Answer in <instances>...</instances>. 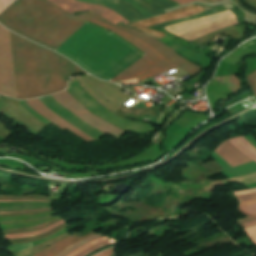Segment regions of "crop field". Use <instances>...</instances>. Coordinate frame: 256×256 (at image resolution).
I'll list each match as a JSON object with an SVG mask.
<instances>
[{
    "mask_svg": "<svg viewBox=\"0 0 256 256\" xmlns=\"http://www.w3.org/2000/svg\"><path fill=\"white\" fill-rule=\"evenodd\" d=\"M17 99L64 90L67 79L86 73L66 58L10 32Z\"/></svg>",
    "mask_w": 256,
    "mask_h": 256,
    "instance_id": "1",
    "label": "crop field"
},
{
    "mask_svg": "<svg viewBox=\"0 0 256 256\" xmlns=\"http://www.w3.org/2000/svg\"><path fill=\"white\" fill-rule=\"evenodd\" d=\"M89 24L104 30L106 33H109L104 28L98 27L92 23ZM97 28H94L85 23L57 49L70 55L82 65H84L86 68L100 75L133 48L100 76L90 72L88 69H86L84 66H82L70 56L56 49L55 50L60 52L64 56L72 59L75 63L86 69L89 73L108 81L123 73L125 70H127L129 67H131L133 64H135L145 56L123 38L113 33H110L111 35L119 38L132 48L127 46L119 39L109 34H106L102 30Z\"/></svg>",
    "mask_w": 256,
    "mask_h": 256,
    "instance_id": "2",
    "label": "crop field"
},
{
    "mask_svg": "<svg viewBox=\"0 0 256 256\" xmlns=\"http://www.w3.org/2000/svg\"><path fill=\"white\" fill-rule=\"evenodd\" d=\"M84 22L68 17L47 0H16L0 13V23L6 28L52 50Z\"/></svg>",
    "mask_w": 256,
    "mask_h": 256,
    "instance_id": "3",
    "label": "crop field"
},
{
    "mask_svg": "<svg viewBox=\"0 0 256 256\" xmlns=\"http://www.w3.org/2000/svg\"><path fill=\"white\" fill-rule=\"evenodd\" d=\"M77 1L106 6L129 22L164 13L162 10L178 5L171 0H113L112 3L100 0Z\"/></svg>",
    "mask_w": 256,
    "mask_h": 256,
    "instance_id": "4",
    "label": "crop field"
},
{
    "mask_svg": "<svg viewBox=\"0 0 256 256\" xmlns=\"http://www.w3.org/2000/svg\"><path fill=\"white\" fill-rule=\"evenodd\" d=\"M236 24L238 22L235 15L230 10H227L219 14L174 24L164 29L191 41L199 36Z\"/></svg>",
    "mask_w": 256,
    "mask_h": 256,
    "instance_id": "5",
    "label": "crop field"
},
{
    "mask_svg": "<svg viewBox=\"0 0 256 256\" xmlns=\"http://www.w3.org/2000/svg\"><path fill=\"white\" fill-rule=\"evenodd\" d=\"M92 18H95L101 22H104L114 28H117L125 33H128L130 35H133L139 39H141L142 41H144L145 43L153 46L157 51H159L165 58L169 59L171 62H173L175 65H177L178 67L184 69L185 71L191 73L192 75L199 72L202 68L194 65L193 63L187 61L186 59H184L183 57H181L180 55H178L175 51H173L171 48H169L167 45L163 44L162 42L158 41L157 39H155L154 37H152L151 35L142 32L140 30L134 29V28H130L126 25H123L121 23H118L116 25H113L109 22H107L106 20H104L103 18H101L100 16L92 13V12H87L84 13ZM190 74V75H191Z\"/></svg>",
    "mask_w": 256,
    "mask_h": 256,
    "instance_id": "6",
    "label": "crop field"
},
{
    "mask_svg": "<svg viewBox=\"0 0 256 256\" xmlns=\"http://www.w3.org/2000/svg\"><path fill=\"white\" fill-rule=\"evenodd\" d=\"M52 97L65 108L85 121L87 124L107 135L118 139L126 133L111 125L110 123L102 120L101 118L92 115L84 106L74 100L66 91L54 94Z\"/></svg>",
    "mask_w": 256,
    "mask_h": 256,
    "instance_id": "7",
    "label": "crop field"
},
{
    "mask_svg": "<svg viewBox=\"0 0 256 256\" xmlns=\"http://www.w3.org/2000/svg\"><path fill=\"white\" fill-rule=\"evenodd\" d=\"M203 11L204 10L202 7H200L196 4H193L191 6L180 8V9L165 13L160 16L152 17L148 20L130 23L131 25H129V26L143 30V31L153 35L155 38L161 39V38H164L166 36V34L160 33V32L154 31V30H150L145 27L153 26L155 24L167 22V21L173 20V19H179V18L191 16V15L203 12Z\"/></svg>",
    "mask_w": 256,
    "mask_h": 256,
    "instance_id": "8",
    "label": "crop field"
},
{
    "mask_svg": "<svg viewBox=\"0 0 256 256\" xmlns=\"http://www.w3.org/2000/svg\"><path fill=\"white\" fill-rule=\"evenodd\" d=\"M74 15V14H72ZM76 16V15H75ZM78 17H81L85 20H88L98 26L105 27L109 30H111L113 33L123 37L125 40H127L129 43L134 45L136 48H138L140 51H142L144 54H146L151 60L155 61L157 64H159L165 71L177 68L173 63H171L169 60L165 59L160 53H158L153 47L145 44L141 40L132 37L128 34H125L117 29H114L110 26H107L95 19L89 18L87 16H84L82 14L78 15Z\"/></svg>",
    "mask_w": 256,
    "mask_h": 256,
    "instance_id": "9",
    "label": "crop field"
},
{
    "mask_svg": "<svg viewBox=\"0 0 256 256\" xmlns=\"http://www.w3.org/2000/svg\"><path fill=\"white\" fill-rule=\"evenodd\" d=\"M52 3L62 7L70 14L73 12H84L86 10L92 11L104 19L116 24L118 22L124 23L128 25L129 22H127L125 19H123L121 16H119L117 13L111 11L110 9L106 7L101 6H94V5H87L80 2H76L73 0H49Z\"/></svg>",
    "mask_w": 256,
    "mask_h": 256,
    "instance_id": "10",
    "label": "crop field"
},
{
    "mask_svg": "<svg viewBox=\"0 0 256 256\" xmlns=\"http://www.w3.org/2000/svg\"><path fill=\"white\" fill-rule=\"evenodd\" d=\"M27 104L33 108L34 110H36L40 115H42L43 117H45L46 119H48L49 121L53 122L54 124H56L59 128H61L62 130L64 129H68L70 130L72 133H74L76 136L82 138L83 140L87 141V142H91L94 141L93 139H91L90 137H88L87 135H85L84 133H82L81 131H79L78 129H76L74 126H72L71 124H69L68 122H66L65 120H63L61 117H59L57 114L53 113L52 111H50L46 106H44L38 99L35 100H26Z\"/></svg>",
    "mask_w": 256,
    "mask_h": 256,
    "instance_id": "11",
    "label": "crop field"
},
{
    "mask_svg": "<svg viewBox=\"0 0 256 256\" xmlns=\"http://www.w3.org/2000/svg\"><path fill=\"white\" fill-rule=\"evenodd\" d=\"M147 72L148 74L141 76ZM161 72H164V70L146 56L138 63L133 65L131 68H129L127 71H125L123 74L113 79L112 82L141 76L139 78H136L138 81H140Z\"/></svg>",
    "mask_w": 256,
    "mask_h": 256,
    "instance_id": "12",
    "label": "crop field"
},
{
    "mask_svg": "<svg viewBox=\"0 0 256 256\" xmlns=\"http://www.w3.org/2000/svg\"><path fill=\"white\" fill-rule=\"evenodd\" d=\"M214 152L225 160L231 167L252 161L250 158L236 150L228 140L222 142Z\"/></svg>",
    "mask_w": 256,
    "mask_h": 256,
    "instance_id": "13",
    "label": "crop field"
},
{
    "mask_svg": "<svg viewBox=\"0 0 256 256\" xmlns=\"http://www.w3.org/2000/svg\"><path fill=\"white\" fill-rule=\"evenodd\" d=\"M91 235H95L94 232L92 233H89L87 235H84L80 238L72 235L50 247H48L47 249L33 255V256H55L56 254H58L59 252L63 251L64 249H66L67 247L71 246L72 244L88 237V236H91Z\"/></svg>",
    "mask_w": 256,
    "mask_h": 256,
    "instance_id": "14",
    "label": "crop field"
},
{
    "mask_svg": "<svg viewBox=\"0 0 256 256\" xmlns=\"http://www.w3.org/2000/svg\"><path fill=\"white\" fill-rule=\"evenodd\" d=\"M229 141L235 148L256 161V149L251 146L243 137L229 139Z\"/></svg>",
    "mask_w": 256,
    "mask_h": 256,
    "instance_id": "15",
    "label": "crop field"
},
{
    "mask_svg": "<svg viewBox=\"0 0 256 256\" xmlns=\"http://www.w3.org/2000/svg\"><path fill=\"white\" fill-rule=\"evenodd\" d=\"M215 79L233 93H236L242 89L239 79H237L234 75L217 77Z\"/></svg>",
    "mask_w": 256,
    "mask_h": 256,
    "instance_id": "16",
    "label": "crop field"
},
{
    "mask_svg": "<svg viewBox=\"0 0 256 256\" xmlns=\"http://www.w3.org/2000/svg\"><path fill=\"white\" fill-rule=\"evenodd\" d=\"M65 223V221L61 220L59 222H56L44 229H41V230H38L36 232H32V233H24V234H16V235H9V236H5V239H13V238H23V237H31V236H34V235H38V234H41V233H44L50 229H53L61 224Z\"/></svg>",
    "mask_w": 256,
    "mask_h": 256,
    "instance_id": "17",
    "label": "crop field"
},
{
    "mask_svg": "<svg viewBox=\"0 0 256 256\" xmlns=\"http://www.w3.org/2000/svg\"><path fill=\"white\" fill-rule=\"evenodd\" d=\"M216 12H217V10H216V8H214L212 10L207 11V14L209 15V14H213V13H216ZM202 16H206V13L204 12V13L197 14V15H194V16H191V17H188V18L179 19V20L167 22V23H164V24H160V25H157V26H154V27L162 28V27H165V26L177 23V22H181V21H185V20H191V19L202 17Z\"/></svg>",
    "mask_w": 256,
    "mask_h": 256,
    "instance_id": "18",
    "label": "crop field"
},
{
    "mask_svg": "<svg viewBox=\"0 0 256 256\" xmlns=\"http://www.w3.org/2000/svg\"><path fill=\"white\" fill-rule=\"evenodd\" d=\"M99 237H102V235H101V234H97V235H95V236L88 237V238H86V239H84V240H82V241H80V242H78V243L72 245L71 247L67 248L66 250H64L63 252H61L60 254H58L57 256H66V255H67L68 253H70L73 249H75V248H77V247H79V246H81V245H83V244H85V243H87V242H89V241H91V240H93V239L99 238Z\"/></svg>",
    "mask_w": 256,
    "mask_h": 256,
    "instance_id": "19",
    "label": "crop field"
},
{
    "mask_svg": "<svg viewBox=\"0 0 256 256\" xmlns=\"http://www.w3.org/2000/svg\"><path fill=\"white\" fill-rule=\"evenodd\" d=\"M108 239H110V238L104 236V237H102V238H99V239H96V240H94V241H91V242L87 243L86 245H84V246H82V247H80V248L74 250V251H73L72 253H70L68 256H75V255H77L78 253L84 251L85 249H87V248H89V247H91V246H94V245H96V244H98V243H101V242H103V241H105V240H108Z\"/></svg>",
    "mask_w": 256,
    "mask_h": 256,
    "instance_id": "20",
    "label": "crop field"
},
{
    "mask_svg": "<svg viewBox=\"0 0 256 256\" xmlns=\"http://www.w3.org/2000/svg\"><path fill=\"white\" fill-rule=\"evenodd\" d=\"M254 218H256V214L247 215L245 219L237 220V222L245 221V220H250V219H254ZM239 224H240L243 228L250 227V226H254V225H256V219L250 220V221H246V222H240Z\"/></svg>",
    "mask_w": 256,
    "mask_h": 256,
    "instance_id": "21",
    "label": "crop field"
},
{
    "mask_svg": "<svg viewBox=\"0 0 256 256\" xmlns=\"http://www.w3.org/2000/svg\"><path fill=\"white\" fill-rule=\"evenodd\" d=\"M247 81L253 90L254 96L256 97V70L247 76Z\"/></svg>",
    "mask_w": 256,
    "mask_h": 256,
    "instance_id": "22",
    "label": "crop field"
},
{
    "mask_svg": "<svg viewBox=\"0 0 256 256\" xmlns=\"http://www.w3.org/2000/svg\"><path fill=\"white\" fill-rule=\"evenodd\" d=\"M114 242H115V241H114L113 239H111V240H109V241H107V242H104V243H101V244H99V245H97V246L91 247V248L85 250L84 252L78 254L77 256H85V255H87L88 253H90V252L96 250L97 248H99V247H101V246H103V245L110 244V243H114Z\"/></svg>",
    "mask_w": 256,
    "mask_h": 256,
    "instance_id": "23",
    "label": "crop field"
},
{
    "mask_svg": "<svg viewBox=\"0 0 256 256\" xmlns=\"http://www.w3.org/2000/svg\"><path fill=\"white\" fill-rule=\"evenodd\" d=\"M238 202L256 199V193L235 196Z\"/></svg>",
    "mask_w": 256,
    "mask_h": 256,
    "instance_id": "24",
    "label": "crop field"
},
{
    "mask_svg": "<svg viewBox=\"0 0 256 256\" xmlns=\"http://www.w3.org/2000/svg\"><path fill=\"white\" fill-rule=\"evenodd\" d=\"M238 209L244 215L251 214V213H256V205L248 206V207H242V208H238Z\"/></svg>",
    "mask_w": 256,
    "mask_h": 256,
    "instance_id": "25",
    "label": "crop field"
},
{
    "mask_svg": "<svg viewBox=\"0 0 256 256\" xmlns=\"http://www.w3.org/2000/svg\"><path fill=\"white\" fill-rule=\"evenodd\" d=\"M112 250H115V247L112 248V249H109L107 251H104L102 253H99L96 256H114L113 253H112L113 252Z\"/></svg>",
    "mask_w": 256,
    "mask_h": 256,
    "instance_id": "26",
    "label": "crop field"
},
{
    "mask_svg": "<svg viewBox=\"0 0 256 256\" xmlns=\"http://www.w3.org/2000/svg\"><path fill=\"white\" fill-rule=\"evenodd\" d=\"M121 83L122 84H132V85H138L139 84V82L136 79L121 81Z\"/></svg>",
    "mask_w": 256,
    "mask_h": 256,
    "instance_id": "27",
    "label": "crop field"
},
{
    "mask_svg": "<svg viewBox=\"0 0 256 256\" xmlns=\"http://www.w3.org/2000/svg\"><path fill=\"white\" fill-rule=\"evenodd\" d=\"M244 231L246 232L247 235L256 233V226L248 229H244Z\"/></svg>",
    "mask_w": 256,
    "mask_h": 256,
    "instance_id": "28",
    "label": "crop field"
},
{
    "mask_svg": "<svg viewBox=\"0 0 256 256\" xmlns=\"http://www.w3.org/2000/svg\"><path fill=\"white\" fill-rule=\"evenodd\" d=\"M256 204V200L239 203L238 207Z\"/></svg>",
    "mask_w": 256,
    "mask_h": 256,
    "instance_id": "29",
    "label": "crop field"
},
{
    "mask_svg": "<svg viewBox=\"0 0 256 256\" xmlns=\"http://www.w3.org/2000/svg\"><path fill=\"white\" fill-rule=\"evenodd\" d=\"M176 2H178L180 5L181 4H185V3H189V2H192V1H201V2H205L203 0H174Z\"/></svg>",
    "mask_w": 256,
    "mask_h": 256,
    "instance_id": "30",
    "label": "crop field"
},
{
    "mask_svg": "<svg viewBox=\"0 0 256 256\" xmlns=\"http://www.w3.org/2000/svg\"><path fill=\"white\" fill-rule=\"evenodd\" d=\"M19 201H40V200H0V202H19ZM47 202V201H40Z\"/></svg>",
    "mask_w": 256,
    "mask_h": 256,
    "instance_id": "31",
    "label": "crop field"
},
{
    "mask_svg": "<svg viewBox=\"0 0 256 256\" xmlns=\"http://www.w3.org/2000/svg\"><path fill=\"white\" fill-rule=\"evenodd\" d=\"M237 101H239L237 98H233V99H231V100H229V101H226V102L224 103V106L227 107V106H229V105H231V104H233V103H235V102H237Z\"/></svg>",
    "mask_w": 256,
    "mask_h": 256,
    "instance_id": "32",
    "label": "crop field"
},
{
    "mask_svg": "<svg viewBox=\"0 0 256 256\" xmlns=\"http://www.w3.org/2000/svg\"><path fill=\"white\" fill-rule=\"evenodd\" d=\"M252 192H256V188L251 190H246V191L234 192V194L238 195V194H245V193H252Z\"/></svg>",
    "mask_w": 256,
    "mask_h": 256,
    "instance_id": "33",
    "label": "crop field"
},
{
    "mask_svg": "<svg viewBox=\"0 0 256 256\" xmlns=\"http://www.w3.org/2000/svg\"><path fill=\"white\" fill-rule=\"evenodd\" d=\"M256 244V234L248 236Z\"/></svg>",
    "mask_w": 256,
    "mask_h": 256,
    "instance_id": "34",
    "label": "crop field"
},
{
    "mask_svg": "<svg viewBox=\"0 0 256 256\" xmlns=\"http://www.w3.org/2000/svg\"><path fill=\"white\" fill-rule=\"evenodd\" d=\"M37 210H47V209H37ZM37 210H26V211H18V212L37 211ZM4 213H15V212H4ZM0 214H3V213H0Z\"/></svg>",
    "mask_w": 256,
    "mask_h": 256,
    "instance_id": "35",
    "label": "crop field"
},
{
    "mask_svg": "<svg viewBox=\"0 0 256 256\" xmlns=\"http://www.w3.org/2000/svg\"><path fill=\"white\" fill-rule=\"evenodd\" d=\"M4 8H5V7H4L2 1H0V11L3 10Z\"/></svg>",
    "mask_w": 256,
    "mask_h": 256,
    "instance_id": "36",
    "label": "crop field"
},
{
    "mask_svg": "<svg viewBox=\"0 0 256 256\" xmlns=\"http://www.w3.org/2000/svg\"><path fill=\"white\" fill-rule=\"evenodd\" d=\"M205 1H208V2H214V1H216V0H205Z\"/></svg>",
    "mask_w": 256,
    "mask_h": 256,
    "instance_id": "37",
    "label": "crop field"
},
{
    "mask_svg": "<svg viewBox=\"0 0 256 256\" xmlns=\"http://www.w3.org/2000/svg\"><path fill=\"white\" fill-rule=\"evenodd\" d=\"M218 1H220V0H218Z\"/></svg>",
    "mask_w": 256,
    "mask_h": 256,
    "instance_id": "38",
    "label": "crop field"
}]
</instances>
